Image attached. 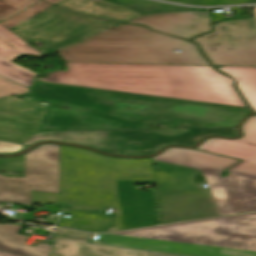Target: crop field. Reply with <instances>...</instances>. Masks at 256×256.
Here are the masks:
<instances>
[{
    "label": "crop field",
    "instance_id": "8a807250",
    "mask_svg": "<svg viewBox=\"0 0 256 256\" xmlns=\"http://www.w3.org/2000/svg\"><path fill=\"white\" fill-rule=\"evenodd\" d=\"M248 113L244 108L36 82L25 101L0 99V139L24 142L37 131L147 129L148 123L164 120L236 127Z\"/></svg>",
    "mask_w": 256,
    "mask_h": 256
},
{
    "label": "crop field",
    "instance_id": "ac0d7876",
    "mask_svg": "<svg viewBox=\"0 0 256 256\" xmlns=\"http://www.w3.org/2000/svg\"><path fill=\"white\" fill-rule=\"evenodd\" d=\"M238 140L210 139L198 147L239 160L196 150L171 148L153 158L161 224L256 211V116L243 125ZM205 177L208 188L193 183Z\"/></svg>",
    "mask_w": 256,
    "mask_h": 256
},
{
    "label": "crop field",
    "instance_id": "34b2d1b8",
    "mask_svg": "<svg viewBox=\"0 0 256 256\" xmlns=\"http://www.w3.org/2000/svg\"><path fill=\"white\" fill-rule=\"evenodd\" d=\"M61 195L33 192L32 203L70 204V209L118 210L65 211L70 219L58 226L89 232L123 229L115 180H154L150 159H115L94 152L60 146ZM125 229L157 225L153 192L133 191V181L119 182Z\"/></svg>",
    "mask_w": 256,
    "mask_h": 256
},
{
    "label": "crop field",
    "instance_id": "412701ff",
    "mask_svg": "<svg viewBox=\"0 0 256 256\" xmlns=\"http://www.w3.org/2000/svg\"><path fill=\"white\" fill-rule=\"evenodd\" d=\"M39 81L247 108L227 76L212 66L65 63Z\"/></svg>",
    "mask_w": 256,
    "mask_h": 256
},
{
    "label": "crop field",
    "instance_id": "f4fd0767",
    "mask_svg": "<svg viewBox=\"0 0 256 256\" xmlns=\"http://www.w3.org/2000/svg\"><path fill=\"white\" fill-rule=\"evenodd\" d=\"M91 244L195 256H256V213L98 235Z\"/></svg>",
    "mask_w": 256,
    "mask_h": 256
},
{
    "label": "crop field",
    "instance_id": "dd49c442",
    "mask_svg": "<svg viewBox=\"0 0 256 256\" xmlns=\"http://www.w3.org/2000/svg\"><path fill=\"white\" fill-rule=\"evenodd\" d=\"M173 50L182 53H173ZM57 54L64 62L210 65L188 41L126 24Z\"/></svg>",
    "mask_w": 256,
    "mask_h": 256
},
{
    "label": "crop field",
    "instance_id": "e52e79f7",
    "mask_svg": "<svg viewBox=\"0 0 256 256\" xmlns=\"http://www.w3.org/2000/svg\"><path fill=\"white\" fill-rule=\"evenodd\" d=\"M207 135L233 137L238 133L236 128L37 132L24 144L28 146L41 140H55L96 148L105 153L144 156L156 153L164 145L193 146Z\"/></svg>",
    "mask_w": 256,
    "mask_h": 256
},
{
    "label": "crop field",
    "instance_id": "d8731c3e",
    "mask_svg": "<svg viewBox=\"0 0 256 256\" xmlns=\"http://www.w3.org/2000/svg\"><path fill=\"white\" fill-rule=\"evenodd\" d=\"M118 25L52 6L10 30L48 56Z\"/></svg>",
    "mask_w": 256,
    "mask_h": 256
},
{
    "label": "crop field",
    "instance_id": "5a996713",
    "mask_svg": "<svg viewBox=\"0 0 256 256\" xmlns=\"http://www.w3.org/2000/svg\"><path fill=\"white\" fill-rule=\"evenodd\" d=\"M0 170L26 173L25 178L0 176V202L24 203L30 206L32 191L60 194L57 145H42L24 156L0 159Z\"/></svg>",
    "mask_w": 256,
    "mask_h": 256
},
{
    "label": "crop field",
    "instance_id": "3316defc",
    "mask_svg": "<svg viewBox=\"0 0 256 256\" xmlns=\"http://www.w3.org/2000/svg\"><path fill=\"white\" fill-rule=\"evenodd\" d=\"M214 32L193 39L210 61L218 66H256L254 19L213 25Z\"/></svg>",
    "mask_w": 256,
    "mask_h": 256
},
{
    "label": "crop field",
    "instance_id": "28ad6ade",
    "mask_svg": "<svg viewBox=\"0 0 256 256\" xmlns=\"http://www.w3.org/2000/svg\"><path fill=\"white\" fill-rule=\"evenodd\" d=\"M90 235L60 229L53 235L51 256H186L86 244Z\"/></svg>",
    "mask_w": 256,
    "mask_h": 256
},
{
    "label": "crop field",
    "instance_id": "d1516ede",
    "mask_svg": "<svg viewBox=\"0 0 256 256\" xmlns=\"http://www.w3.org/2000/svg\"><path fill=\"white\" fill-rule=\"evenodd\" d=\"M128 23L141 24L153 30L186 39L201 32L210 31L208 13L198 11L141 16Z\"/></svg>",
    "mask_w": 256,
    "mask_h": 256
},
{
    "label": "crop field",
    "instance_id": "22f410ed",
    "mask_svg": "<svg viewBox=\"0 0 256 256\" xmlns=\"http://www.w3.org/2000/svg\"><path fill=\"white\" fill-rule=\"evenodd\" d=\"M19 54L45 56L0 24V76L30 89L36 74L10 62Z\"/></svg>",
    "mask_w": 256,
    "mask_h": 256
},
{
    "label": "crop field",
    "instance_id": "cbeb9de0",
    "mask_svg": "<svg viewBox=\"0 0 256 256\" xmlns=\"http://www.w3.org/2000/svg\"><path fill=\"white\" fill-rule=\"evenodd\" d=\"M56 5L119 22H128L141 16L119 5L104 0H63Z\"/></svg>",
    "mask_w": 256,
    "mask_h": 256
},
{
    "label": "crop field",
    "instance_id": "5142ce71",
    "mask_svg": "<svg viewBox=\"0 0 256 256\" xmlns=\"http://www.w3.org/2000/svg\"><path fill=\"white\" fill-rule=\"evenodd\" d=\"M22 226L0 225V250L24 256H48L50 245L39 244L36 247L24 246L26 236L15 234Z\"/></svg>",
    "mask_w": 256,
    "mask_h": 256
},
{
    "label": "crop field",
    "instance_id": "d9b57169",
    "mask_svg": "<svg viewBox=\"0 0 256 256\" xmlns=\"http://www.w3.org/2000/svg\"><path fill=\"white\" fill-rule=\"evenodd\" d=\"M219 69L236 79L239 90L256 111V67H221Z\"/></svg>",
    "mask_w": 256,
    "mask_h": 256
},
{
    "label": "crop field",
    "instance_id": "733c2abd",
    "mask_svg": "<svg viewBox=\"0 0 256 256\" xmlns=\"http://www.w3.org/2000/svg\"><path fill=\"white\" fill-rule=\"evenodd\" d=\"M40 0H0V20L3 21Z\"/></svg>",
    "mask_w": 256,
    "mask_h": 256
},
{
    "label": "crop field",
    "instance_id": "4a817a6b",
    "mask_svg": "<svg viewBox=\"0 0 256 256\" xmlns=\"http://www.w3.org/2000/svg\"><path fill=\"white\" fill-rule=\"evenodd\" d=\"M51 5L44 3L42 1L34 4L33 6L27 8L26 10L20 12L19 14L13 16L12 18L2 22L1 24L6 28H11L28 18L38 14L39 12L45 10L46 8L50 7Z\"/></svg>",
    "mask_w": 256,
    "mask_h": 256
},
{
    "label": "crop field",
    "instance_id": "bc2a9ffb",
    "mask_svg": "<svg viewBox=\"0 0 256 256\" xmlns=\"http://www.w3.org/2000/svg\"><path fill=\"white\" fill-rule=\"evenodd\" d=\"M29 90L0 77V97L27 93Z\"/></svg>",
    "mask_w": 256,
    "mask_h": 256
},
{
    "label": "crop field",
    "instance_id": "214f88e0",
    "mask_svg": "<svg viewBox=\"0 0 256 256\" xmlns=\"http://www.w3.org/2000/svg\"><path fill=\"white\" fill-rule=\"evenodd\" d=\"M248 0H183L179 3L194 4V5H206V6H219V5H234L241 4Z\"/></svg>",
    "mask_w": 256,
    "mask_h": 256
},
{
    "label": "crop field",
    "instance_id": "92a150f3",
    "mask_svg": "<svg viewBox=\"0 0 256 256\" xmlns=\"http://www.w3.org/2000/svg\"><path fill=\"white\" fill-rule=\"evenodd\" d=\"M25 147L27 146L17 143L0 141V153H14L24 149Z\"/></svg>",
    "mask_w": 256,
    "mask_h": 256
},
{
    "label": "crop field",
    "instance_id": "dafd665d",
    "mask_svg": "<svg viewBox=\"0 0 256 256\" xmlns=\"http://www.w3.org/2000/svg\"><path fill=\"white\" fill-rule=\"evenodd\" d=\"M0 256H19V255H15V254L0 251Z\"/></svg>",
    "mask_w": 256,
    "mask_h": 256
},
{
    "label": "crop field",
    "instance_id": "00972430",
    "mask_svg": "<svg viewBox=\"0 0 256 256\" xmlns=\"http://www.w3.org/2000/svg\"><path fill=\"white\" fill-rule=\"evenodd\" d=\"M46 1L55 4V3H57V2H59V1H61V0H46Z\"/></svg>",
    "mask_w": 256,
    "mask_h": 256
},
{
    "label": "crop field",
    "instance_id": "a9b5d70f",
    "mask_svg": "<svg viewBox=\"0 0 256 256\" xmlns=\"http://www.w3.org/2000/svg\"><path fill=\"white\" fill-rule=\"evenodd\" d=\"M167 1H173V2H178V1H180V0H167Z\"/></svg>",
    "mask_w": 256,
    "mask_h": 256
},
{
    "label": "crop field",
    "instance_id": "4177f3b9",
    "mask_svg": "<svg viewBox=\"0 0 256 256\" xmlns=\"http://www.w3.org/2000/svg\"><path fill=\"white\" fill-rule=\"evenodd\" d=\"M253 3H256V0H254V2ZM246 4H252V3H246Z\"/></svg>",
    "mask_w": 256,
    "mask_h": 256
},
{
    "label": "crop field",
    "instance_id": "730fd06b",
    "mask_svg": "<svg viewBox=\"0 0 256 256\" xmlns=\"http://www.w3.org/2000/svg\"><path fill=\"white\" fill-rule=\"evenodd\" d=\"M255 13H256V8H255Z\"/></svg>",
    "mask_w": 256,
    "mask_h": 256
}]
</instances>
